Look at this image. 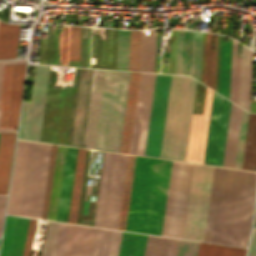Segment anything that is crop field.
Wrapping results in <instances>:
<instances>
[{"instance_id": "8a807250", "label": "crop field", "mask_w": 256, "mask_h": 256, "mask_svg": "<svg viewBox=\"0 0 256 256\" xmlns=\"http://www.w3.org/2000/svg\"><path fill=\"white\" fill-rule=\"evenodd\" d=\"M256 172L215 167L204 241L246 247Z\"/></svg>"}, {"instance_id": "ac0d7876", "label": "crop field", "mask_w": 256, "mask_h": 256, "mask_svg": "<svg viewBox=\"0 0 256 256\" xmlns=\"http://www.w3.org/2000/svg\"><path fill=\"white\" fill-rule=\"evenodd\" d=\"M171 164L136 156L126 230L161 235Z\"/></svg>"}, {"instance_id": "34b2d1b8", "label": "crop field", "mask_w": 256, "mask_h": 256, "mask_svg": "<svg viewBox=\"0 0 256 256\" xmlns=\"http://www.w3.org/2000/svg\"><path fill=\"white\" fill-rule=\"evenodd\" d=\"M195 84L172 75L160 158L185 161Z\"/></svg>"}, {"instance_id": "412701ff", "label": "crop field", "mask_w": 256, "mask_h": 256, "mask_svg": "<svg viewBox=\"0 0 256 256\" xmlns=\"http://www.w3.org/2000/svg\"><path fill=\"white\" fill-rule=\"evenodd\" d=\"M129 75L105 70L94 149L119 152Z\"/></svg>"}, {"instance_id": "f4fd0767", "label": "crop field", "mask_w": 256, "mask_h": 256, "mask_svg": "<svg viewBox=\"0 0 256 256\" xmlns=\"http://www.w3.org/2000/svg\"><path fill=\"white\" fill-rule=\"evenodd\" d=\"M214 167L193 164L183 237L203 241Z\"/></svg>"}, {"instance_id": "dd49c442", "label": "crop field", "mask_w": 256, "mask_h": 256, "mask_svg": "<svg viewBox=\"0 0 256 256\" xmlns=\"http://www.w3.org/2000/svg\"><path fill=\"white\" fill-rule=\"evenodd\" d=\"M50 148L31 142L20 215L41 218Z\"/></svg>"}, {"instance_id": "e52e79f7", "label": "crop field", "mask_w": 256, "mask_h": 256, "mask_svg": "<svg viewBox=\"0 0 256 256\" xmlns=\"http://www.w3.org/2000/svg\"><path fill=\"white\" fill-rule=\"evenodd\" d=\"M191 167L173 161L162 235L181 238Z\"/></svg>"}, {"instance_id": "d8731c3e", "label": "crop field", "mask_w": 256, "mask_h": 256, "mask_svg": "<svg viewBox=\"0 0 256 256\" xmlns=\"http://www.w3.org/2000/svg\"><path fill=\"white\" fill-rule=\"evenodd\" d=\"M231 101L214 92L203 163L222 166Z\"/></svg>"}, {"instance_id": "5a996713", "label": "crop field", "mask_w": 256, "mask_h": 256, "mask_svg": "<svg viewBox=\"0 0 256 256\" xmlns=\"http://www.w3.org/2000/svg\"><path fill=\"white\" fill-rule=\"evenodd\" d=\"M49 66L36 65L31 103H24L18 138L39 141Z\"/></svg>"}, {"instance_id": "3316defc", "label": "crop field", "mask_w": 256, "mask_h": 256, "mask_svg": "<svg viewBox=\"0 0 256 256\" xmlns=\"http://www.w3.org/2000/svg\"><path fill=\"white\" fill-rule=\"evenodd\" d=\"M171 75L156 74L145 155H160Z\"/></svg>"}, {"instance_id": "28ad6ade", "label": "crop field", "mask_w": 256, "mask_h": 256, "mask_svg": "<svg viewBox=\"0 0 256 256\" xmlns=\"http://www.w3.org/2000/svg\"><path fill=\"white\" fill-rule=\"evenodd\" d=\"M66 147L52 145L42 218L56 220Z\"/></svg>"}, {"instance_id": "d1516ede", "label": "crop field", "mask_w": 256, "mask_h": 256, "mask_svg": "<svg viewBox=\"0 0 256 256\" xmlns=\"http://www.w3.org/2000/svg\"><path fill=\"white\" fill-rule=\"evenodd\" d=\"M212 94L207 88L202 115L193 114L186 161L202 163Z\"/></svg>"}, {"instance_id": "22f410ed", "label": "crop field", "mask_w": 256, "mask_h": 256, "mask_svg": "<svg viewBox=\"0 0 256 256\" xmlns=\"http://www.w3.org/2000/svg\"><path fill=\"white\" fill-rule=\"evenodd\" d=\"M30 142L18 140L8 214L19 215Z\"/></svg>"}, {"instance_id": "cbeb9de0", "label": "crop field", "mask_w": 256, "mask_h": 256, "mask_svg": "<svg viewBox=\"0 0 256 256\" xmlns=\"http://www.w3.org/2000/svg\"><path fill=\"white\" fill-rule=\"evenodd\" d=\"M28 221L7 216L0 256H22Z\"/></svg>"}, {"instance_id": "5142ce71", "label": "crop field", "mask_w": 256, "mask_h": 256, "mask_svg": "<svg viewBox=\"0 0 256 256\" xmlns=\"http://www.w3.org/2000/svg\"><path fill=\"white\" fill-rule=\"evenodd\" d=\"M252 50L242 45L238 57L235 103L249 111Z\"/></svg>"}, {"instance_id": "d9b57169", "label": "crop field", "mask_w": 256, "mask_h": 256, "mask_svg": "<svg viewBox=\"0 0 256 256\" xmlns=\"http://www.w3.org/2000/svg\"><path fill=\"white\" fill-rule=\"evenodd\" d=\"M78 148L67 147L57 220L67 222Z\"/></svg>"}, {"instance_id": "733c2abd", "label": "crop field", "mask_w": 256, "mask_h": 256, "mask_svg": "<svg viewBox=\"0 0 256 256\" xmlns=\"http://www.w3.org/2000/svg\"><path fill=\"white\" fill-rule=\"evenodd\" d=\"M104 70L94 69L83 146L93 149Z\"/></svg>"}, {"instance_id": "4a817a6b", "label": "crop field", "mask_w": 256, "mask_h": 256, "mask_svg": "<svg viewBox=\"0 0 256 256\" xmlns=\"http://www.w3.org/2000/svg\"><path fill=\"white\" fill-rule=\"evenodd\" d=\"M95 228L70 224L64 256H89Z\"/></svg>"}, {"instance_id": "bc2a9ffb", "label": "crop field", "mask_w": 256, "mask_h": 256, "mask_svg": "<svg viewBox=\"0 0 256 256\" xmlns=\"http://www.w3.org/2000/svg\"><path fill=\"white\" fill-rule=\"evenodd\" d=\"M140 73L131 72L120 152L129 153Z\"/></svg>"}, {"instance_id": "214f88e0", "label": "crop field", "mask_w": 256, "mask_h": 256, "mask_svg": "<svg viewBox=\"0 0 256 256\" xmlns=\"http://www.w3.org/2000/svg\"><path fill=\"white\" fill-rule=\"evenodd\" d=\"M84 72H85V69L82 68L81 73H80L76 108H75L72 135H71V142H70V145H72V146H74V143H75V136H76L77 122H78V115H79V107H80ZM89 72H90V69H86L85 79H84V86H83V93H82V100H81L80 115H79V122H78V129H77V136H76V143H75V146H77V147H79V144H80V137H81L82 122H83V115H84V108H85V101H86V94H87ZM91 72H92V69H91ZM91 72H90V79H91ZM90 79H89V86H90ZM89 86H88V94H89ZM88 94H87V101H88ZM87 101H86V108H87ZM86 108H85V115H86ZM85 115H84V122H85ZM84 122H83V130H84ZM83 130H82V137H83ZM82 137H81V144H82ZM81 144H80V147H81Z\"/></svg>"}, {"instance_id": "92a150f3", "label": "crop field", "mask_w": 256, "mask_h": 256, "mask_svg": "<svg viewBox=\"0 0 256 256\" xmlns=\"http://www.w3.org/2000/svg\"><path fill=\"white\" fill-rule=\"evenodd\" d=\"M242 108L232 103L223 166L234 168Z\"/></svg>"}, {"instance_id": "dafd665d", "label": "crop field", "mask_w": 256, "mask_h": 256, "mask_svg": "<svg viewBox=\"0 0 256 256\" xmlns=\"http://www.w3.org/2000/svg\"><path fill=\"white\" fill-rule=\"evenodd\" d=\"M16 133H0V194H6Z\"/></svg>"}, {"instance_id": "00972430", "label": "crop field", "mask_w": 256, "mask_h": 256, "mask_svg": "<svg viewBox=\"0 0 256 256\" xmlns=\"http://www.w3.org/2000/svg\"><path fill=\"white\" fill-rule=\"evenodd\" d=\"M155 74L147 73L136 154L144 155Z\"/></svg>"}, {"instance_id": "a9b5d70f", "label": "crop field", "mask_w": 256, "mask_h": 256, "mask_svg": "<svg viewBox=\"0 0 256 256\" xmlns=\"http://www.w3.org/2000/svg\"><path fill=\"white\" fill-rule=\"evenodd\" d=\"M242 169L256 171V114L249 116Z\"/></svg>"}, {"instance_id": "4177f3b9", "label": "crop field", "mask_w": 256, "mask_h": 256, "mask_svg": "<svg viewBox=\"0 0 256 256\" xmlns=\"http://www.w3.org/2000/svg\"><path fill=\"white\" fill-rule=\"evenodd\" d=\"M147 235L123 232L118 256H143Z\"/></svg>"}, {"instance_id": "730fd06b", "label": "crop field", "mask_w": 256, "mask_h": 256, "mask_svg": "<svg viewBox=\"0 0 256 256\" xmlns=\"http://www.w3.org/2000/svg\"><path fill=\"white\" fill-rule=\"evenodd\" d=\"M231 42L221 41L219 93L228 98Z\"/></svg>"}, {"instance_id": "eef30255", "label": "crop field", "mask_w": 256, "mask_h": 256, "mask_svg": "<svg viewBox=\"0 0 256 256\" xmlns=\"http://www.w3.org/2000/svg\"><path fill=\"white\" fill-rule=\"evenodd\" d=\"M128 155L121 154L110 228L117 229Z\"/></svg>"}, {"instance_id": "ae1a2a85", "label": "crop field", "mask_w": 256, "mask_h": 256, "mask_svg": "<svg viewBox=\"0 0 256 256\" xmlns=\"http://www.w3.org/2000/svg\"><path fill=\"white\" fill-rule=\"evenodd\" d=\"M86 149L79 148L68 222L75 223Z\"/></svg>"}, {"instance_id": "d3111659", "label": "crop field", "mask_w": 256, "mask_h": 256, "mask_svg": "<svg viewBox=\"0 0 256 256\" xmlns=\"http://www.w3.org/2000/svg\"><path fill=\"white\" fill-rule=\"evenodd\" d=\"M212 35L207 33L204 84L214 89L217 34H215L214 51Z\"/></svg>"}, {"instance_id": "750c4746", "label": "crop field", "mask_w": 256, "mask_h": 256, "mask_svg": "<svg viewBox=\"0 0 256 256\" xmlns=\"http://www.w3.org/2000/svg\"><path fill=\"white\" fill-rule=\"evenodd\" d=\"M246 249L200 242L197 256H245Z\"/></svg>"}, {"instance_id": "bd1437ed", "label": "crop field", "mask_w": 256, "mask_h": 256, "mask_svg": "<svg viewBox=\"0 0 256 256\" xmlns=\"http://www.w3.org/2000/svg\"><path fill=\"white\" fill-rule=\"evenodd\" d=\"M135 156L129 155L118 229L125 230Z\"/></svg>"}, {"instance_id": "1d83c4d3", "label": "crop field", "mask_w": 256, "mask_h": 256, "mask_svg": "<svg viewBox=\"0 0 256 256\" xmlns=\"http://www.w3.org/2000/svg\"><path fill=\"white\" fill-rule=\"evenodd\" d=\"M202 40L203 33L192 31L190 75L198 80L201 73Z\"/></svg>"}, {"instance_id": "120bbe31", "label": "crop field", "mask_w": 256, "mask_h": 256, "mask_svg": "<svg viewBox=\"0 0 256 256\" xmlns=\"http://www.w3.org/2000/svg\"><path fill=\"white\" fill-rule=\"evenodd\" d=\"M130 31L118 30L116 69L128 70Z\"/></svg>"}, {"instance_id": "d32e631a", "label": "crop field", "mask_w": 256, "mask_h": 256, "mask_svg": "<svg viewBox=\"0 0 256 256\" xmlns=\"http://www.w3.org/2000/svg\"><path fill=\"white\" fill-rule=\"evenodd\" d=\"M199 242L173 239L170 256H196Z\"/></svg>"}, {"instance_id": "5866460e", "label": "crop field", "mask_w": 256, "mask_h": 256, "mask_svg": "<svg viewBox=\"0 0 256 256\" xmlns=\"http://www.w3.org/2000/svg\"><path fill=\"white\" fill-rule=\"evenodd\" d=\"M146 73H141L130 153L135 154Z\"/></svg>"}, {"instance_id": "028f5c9d", "label": "crop field", "mask_w": 256, "mask_h": 256, "mask_svg": "<svg viewBox=\"0 0 256 256\" xmlns=\"http://www.w3.org/2000/svg\"><path fill=\"white\" fill-rule=\"evenodd\" d=\"M141 31H131L129 70L139 71Z\"/></svg>"}, {"instance_id": "e1f06a70", "label": "crop field", "mask_w": 256, "mask_h": 256, "mask_svg": "<svg viewBox=\"0 0 256 256\" xmlns=\"http://www.w3.org/2000/svg\"><path fill=\"white\" fill-rule=\"evenodd\" d=\"M59 225L60 223L49 221L42 256L54 255Z\"/></svg>"}, {"instance_id": "0bd39190", "label": "crop field", "mask_w": 256, "mask_h": 256, "mask_svg": "<svg viewBox=\"0 0 256 256\" xmlns=\"http://www.w3.org/2000/svg\"><path fill=\"white\" fill-rule=\"evenodd\" d=\"M69 26L62 25L59 34L57 63L68 64Z\"/></svg>"}, {"instance_id": "b80d0937", "label": "crop field", "mask_w": 256, "mask_h": 256, "mask_svg": "<svg viewBox=\"0 0 256 256\" xmlns=\"http://www.w3.org/2000/svg\"><path fill=\"white\" fill-rule=\"evenodd\" d=\"M248 116H249V113L247 111L243 110L242 120H241V127H240L239 142H238L237 157H236V165H235V168H238V169H241V166H242V159H243V152H244V145H245V137H246L247 123H248Z\"/></svg>"}, {"instance_id": "c035e120", "label": "crop field", "mask_w": 256, "mask_h": 256, "mask_svg": "<svg viewBox=\"0 0 256 256\" xmlns=\"http://www.w3.org/2000/svg\"><path fill=\"white\" fill-rule=\"evenodd\" d=\"M187 42H188V31L186 30L184 67H183V74L185 75H186V64H187ZM183 45H184V36H178L176 74H182Z\"/></svg>"}, {"instance_id": "c21b1889", "label": "crop field", "mask_w": 256, "mask_h": 256, "mask_svg": "<svg viewBox=\"0 0 256 256\" xmlns=\"http://www.w3.org/2000/svg\"><path fill=\"white\" fill-rule=\"evenodd\" d=\"M81 27L70 26L69 60H79Z\"/></svg>"}, {"instance_id": "03da06ac", "label": "crop field", "mask_w": 256, "mask_h": 256, "mask_svg": "<svg viewBox=\"0 0 256 256\" xmlns=\"http://www.w3.org/2000/svg\"><path fill=\"white\" fill-rule=\"evenodd\" d=\"M162 237L148 235L144 256H158Z\"/></svg>"}, {"instance_id": "b54c1fbb", "label": "crop field", "mask_w": 256, "mask_h": 256, "mask_svg": "<svg viewBox=\"0 0 256 256\" xmlns=\"http://www.w3.org/2000/svg\"><path fill=\"white\" fill-rule=\"evenodd\" d=\"M237 41L233 40L229 99L234 101Z\"/></svg>"}, {"instance_id": "5d738f31", "label": "crop field", "mask_w": 256, "mask_h": 256, "mask_svg": "<svg viewBox=\"0 0 256 256\" xmlns=\"http://www.w3.org/2000/svg\"><path fill=\"white\" fill-rule=\"evenodd\" d=\"M35 222H36V220H33V219H30V221H29L23 256H29Z\"/></svg>"}, {"instance_id": "d23c7cc5", "label": "crop field", "mask_w": 256, "mask_h": 256, "mask_svg": "<svg viewBox=\"0 0 256 256\" xmlns=\"http://www.w3.org/2000/svg\"><path fill=\"white\" fill-rule=\"evenodd\" d=\"M122 232L114 230L109 256H117Z\"/></svg>"}, {"instance_id": "425ffa30", "label": "crop field", "mask_w": 256, "mask_h": 256, "mask_svg": "<svg viewBox=\"0 0 256 256\" xmlns=\"http://www.w3.org/2000/svg\"><path fill=\"white\" fill-rule=\"evenodd\" d=\"M172 239L163 237L159 256H169Z\"/></svg>"}, {"instance_id": "25e5ab78", "label": "crop field", "mask_w": 256, "mask_h": 256, "mask_svg": "<svg viewBox=\"0 0 256 256\" xmlns=\"http://www.w3.org/2000/svg\"><path fill=\"white\" fill-rule=\"evenodd\" d=\"M248 256H256V228H254Z\"/></svg>"}, {"instance_id": "73cf0c24", "label": "crop field", "mask_w": 256, "mask_h": 256, "mask_svg": "<svg viewBox=\"0 0 256 256\" xmlns=\"http://www.w3.org/2000/svg\"><path fill=\"white\" fill-rule=\"evenodd\" d=\"M5 199H6V196H0V232L2 227Z\"/></svg>"}, {"instance_id": "89e229c0", "label": "crop field", "mask_w": 256, "mask_h": 256, "mask_svg": "<svg viewBox=\"0 0 256 256\" xmlns=\"http://www.w3.org/2000/svg\"><path fill=\"white\" fill-rule=\"evenodd\" d=\"M205 41H206V33L204 32L203 57H202V74H201V82L202 83H203V75H204Z\"/></svg>"}, {"instance_id": "1f2cbd36", "label": "crop field", "mask_w": 256, "mask_h": 256, "mask_svg": "<svg viewBox=\"0 0 256 256\" xmlns=\"http://www.w3.org/2000/svg\"><path fill=\"white\" fill-rule=\"evenodd\" d=\"M150 70H154V63L150 62Z\"/></svg>"}, {"instance_id": "dbb93151", "label": "crop field", "mask_w": 256, "mask_h": 256, "mask_svg": "<svg viewBox=\"0 0 256 256\" xmlns=\"http://www.w3.org/2000/svg\"><path fill=\"white\" fill-rule=\"evenodd\" d=\"M254 226H256V217H255V223H254Z\"/></svg>"}]
</instances>
